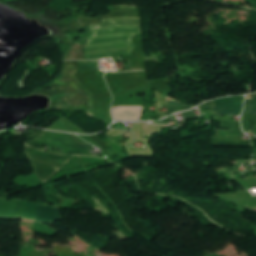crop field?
<instances>
[{
  "mask_svg": "<svg viewBox=\"0 0 256 256\" xmlns=\"http://www.w3.org/2000/svg\"><path fill=\"white\" fill-rule=\"evenodd\" d=\"M103 24L90 25L91 34L86 47L87 59H102L130 55L131 37L140 32V19L117 17L102 20Z\"/></svg>",
  "mask_w": 256,
  "mask_h": 256,
  "instance_id": "8a807250",
  "label": "crop field"
},
{
  "mask_svg": "<svg viewBox=\"0 0 256 256\" xmlns=\"http://www.w3.org/2000/svg\"><path fill=\"white\" fill-rule=\"evenodd\" d=\"M41 144L63 149L62 152L54 153L92 156L89 154V150L93 148L92 145L81 144L74 138L73 135L70 134L44 131L40 137L30 144V146L39 149Z\"/></svg>",
  "mask_w": 256,
  "mask_h": 256,
  "instance_id": "ac0d7876",
  "label": "crop field"
},
{
  "mask_svg": "<svg viewBox=\"0 0 256 256\" xmlns=\"http://www.w3.org/2000/svg\"><path fill=\"white\" fill-rule=\"evenodd\" d=\"M26 152L41 182H46L59 169L74 158L73 156L48 154L33 150L29 147H26Z\"/></svg>",
  "mask_w": 256,
  "mask_h": 256,
  "instance_id": "34b2d1b8",
  "label": "crop field"
},
{
  "mask_svg": "<svg viewBox=\"0 0 256 256\" xmlns=\"http://www.w3.org/2000/svg\"><path fill=\"white\" fill-rule=\"evenodd\" d=\"M222 128L229 130L217 129V137L213 136L214 145H242L251 146L250 141H241L243 134L239 122L221 121ZM231 135V137H229Z\"/></svg>",
  "mask_w": 256,
  "mask_h": 256,
  "instance_id": "412701ff",
  "label": "crop field"
},
{
  "mask_svg": "<svg viewBox=\"0 0 256 256\" xmlns=\"http://www.w3.org/2000/svg\"><path fill=\"white\" fill-rule=\"evenodd\" d=\"M244 96L228 97L220 100L213 101L212 109L223 110H212V113L216 114H235L240 115L243 108Z\"/></svg>",
  "mask_w": 256,
  "mask_h": 256,
  "instance_id": "f4fd0767",
  "label": "crop field"
},
{
  "mask_svg": "<svg viewBox=\"0 0 256 256\" xmlns=\"http://www.w3.org/2000/svg\"><path fill=\"white\" fill-rule=\"evenodd\" d=\"M62 219L59 208L51 205L38 204L37 221L52 224Z\"/></svg>",
  "mask_w": 256,
  "mask_h": 256,
  "instance_id": "dd49c442",
  "label": "crop field"
},
{
  "mask_svg": "<svg viewBox=\"0 0 256 256\" xmlns=\"http://www.w3.org/2000/svg\"><path fill=\"white\" fill-rule=\"evenodd\" d=\"M37 204L18 199L14 217L36 221Z\"/></svg>",
  "mask_w": 256,
  "mask_h": 256,
  "instance_id": "e52e79f7",
  "label": "crop field"
},
{
  "mask_svg": "<svg viewBox=\"0 0 256 256\" xmlns=\"http://www.w3.org/2000/svg\"><path fill=\"white\" fill-rule=\"evenodd\" d=\"M242 124H243V128H244L245 132L250 131V128H249V125L247 122H242Z\"/></svg>",
  "mask_w": 256,
  "mask_h": 256,
  "instance_id": "d8731c3e",
  "label": "crop field"
},
{
  "mask_svg": "<svg viewBox=\"0 0 256 256\" xmlns=\"http://www.w3.org/2000/svg\"><path fill=\"white\" fill-rule=\"evenodd\" d=\"M251 105H254L252 114H255V115H256V97H255L254 100L252 101Z\"/></svg>",
  "mask_w": 256,
  "mask_h": 256,
  "instance_id": "5a996713",
  "label": "crop field"
},
{
  "mask_svg": "<svg viewBox=\"0 0 256 256\" xmlns=\"http://www.w3.org/2000/svg\"><path fill=\"white\" fill-rule=\"evenodd\" d=\"M167 104L179 106L180 103L166 101Z\"/></svg>",
  "mask_w": 256,
  "mask_h": 256,
  "instance_id": "3316defc",
  "label": "crop field"
}]
</instances>
